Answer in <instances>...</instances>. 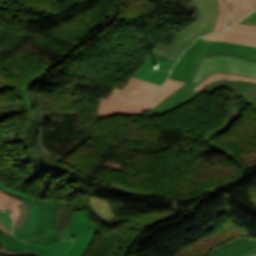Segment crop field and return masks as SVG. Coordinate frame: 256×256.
I'll return each instance as SVG.
<instances>
[{"instance_id": "obj_17", "label": "crop field", "mask_w": 256, "mask_h": 256, "mask_svg": "<svg viewBox=\"0 0 256 256\" xmlns=\"http://www.w3.org/2000/svg\"><path fill=\"white\" fill-rule=\"evenodd\" d=\"M21 202L23 201L12 196H9L7 194H4L3 192L0 191V208L4 210L6 207H8L13 211L12 213H10V215L13 217L14 223L16 222L17 217L19 215V209L16 205Z\"/></svg>"}, {"instance_id": "obj_23", "label": "crop field", "mask_w": 256, "mask_h": 256, "mask_svg": "<svg viewBox=\"0 0 256 256\" xmlns=\"http://www.w3.org/2000/svg\"><path fill=\"white\" fill-rule=\"evenodd\" d=\"M0 190H2L3 192H5V193H7L9 195L17 197V198H19V199H21L23 201H25L27 199L32 201L34 203L35 209H36V215H35V221H34V224L36 225V220H37V216H38V204H37V202L34 199H32L31 197H28L26 195H23L21 193H16V192L9 191V190H7L6 186H4V185L0 186Z\"/></svg>"}, {"instance_id": "obj_31", "label": "crop field", "mask_w": 256, "mask_h": 256, "mask_svg": "<svg viewBox=\"0 0 256 256\" xmlns=\"http://www.w3.org/2000/svg\"><path fill=\"white\" fill-rule=\"evenodd\" d=\"M246 20H256V11L245 18Z\"/></svg>"}, {"instance_id": "obj_10", "label": "crop field", "mask_w": 256, "mask_h": 256, "mask_svg": "<svg viewBox=\"0 0 256 256\" xmlns=\"http://www.w3.org/2000/svg\"><path fill=\"white\" fill-rule=\"evenodd\" d=\"M84 213V212H83ZM82 212L70 214L69 231L73 239L87 233H98L100 229L93 225Z\"/></svg>"}, {"instance_id": "obj_7", "label": "crop field", "mask_w": 256, "mask_h": 256, "mask_svg": "<svg viewBox=\"0 0 256 256\" xmlns=\"http://www.w3.org/2000/svg\"><path fill=\"white\" fill-rule=\"evenodd\" d=\"M206 40L237 42L256 46V26L235 25L230 29L201 37Z\"/></svg>"}, {"instance_id": "obj_35", "label": "crop field", "mask_w": 256, "mask_h": 256, "mask_svg": "<svg viewBox=\"0 0 256 256\" xmlns=\"http://www.w3.org/2000/svg\"><path fill=\"white\" fill-rule=\"evenodd\" d=\"M0 228H2L3 230H5L6 232H8V233H10L8 230H6L4 227H2L1 225H0ZM11 235H13L12 233H10Z\"/></svg>"}, {"instance_id": "obj_8", "label": "crop field", "mask_w": 256, "mask_h": 256, "mask_svg": "<svg viewBox=\"0 0 256 256\" xmlns=\"http://www.w3.org/2000/svg\"><path fill=\"white\" fill-rule=\"evenodd\" d=\"M255 247V242H250L248 234H246L215 248L209 253V256H243L247 251Z\"/></svg>"}, {"instance_id": "obj_16", "label": "crop field", "mask_w": 256, "mask_h": 256, "mask_svg": "<svg viewBox=\"0 0 256 256\" xmlns=\"http://www.w3.org/2000/svg\"><path fill=\"white\" fill-rule=\"evenodd\" d=\"M234 85H235V83H233V82H228V81H225V80H219V81L211 83L208 86V88L206 89L205 93H208V94L212 95V91H214L216 86H220V87H223L225 89H229V90L232 91ZM232 92H236V91H232ZM238 93H240V92H238ZM240 94H242V96H245L247 98V101H245V102L250 104V106H252V108H254V110L256 112V97H253V96H250V95H247V94H244V93H240ZM248 104H246V105H248Z\"/></svg>"}, {"instance_id": "obj_1", "label": "crop field", "mask_w": 256, "mask_h": 256, "mask_svg": "<svg viewBox=\"0 0 256 256\" xmlns=\"http://www.w3.org/2000/svg\"><path fill=\"white\" fill-rule=\"evenodd\" d=\"M199 10L198 17L189 27L175 36V40L167 45H159L150 52L153 55L177 61L181 53L198 37L211 32L218 16V0H190Z\"/></svg>"}, {"instance_id": "obj_39", "label": "crop field", "mask_w": 256, "mask_h": 256, "mask_svg": "<svg viewBox=\"0 0 256 256\" xmlns=\"http://www.w3.org/2000/svg\"><path fill=\"white\" fill-rule=\"evenodd\" d=\"M256 256V255H255Z\"/></svg>"}, {"instance_id": "obj_9", "label": "crop field", "mask_w": 256, "mask_h": 256, "mask_svg": "<svg viewBox=\"0 0 256 256\" xmlns=\"http://www.w3.org/2000/svg\"><path fill=\"white\" fill-rule=\"evenodd\" d=\"M93 214L106 226L112 228L124 219L113 216L108 203L101 199L87 198Z\"/></svg>"}, {"instance_id": "obj_32", "label": "crop field", "mask_w": 256, "mask_h": 256, "mask_svg": "<svg viewBox=\"0 0 256 256\" xmlns=\"http://www.w3.org/2000/svg\"><path fill=\"white\" fill-rule=\"evenodd\" d=\"M58 212H59V217H58V221H57V226L56 227H60V217H61V212L58 210ZM60 236H61V240H63V236H62V234H60Z\"/></svg>"}, {"instance_id": "obj_5", "label": "crop field", "mask_w": 256, "mask_h": 256, "mask_svg": "<svg viewBox=\"0 0 256 256\" xmlns=\"http://www.w3.org/2000/svg\"><path fill=\"white\" fill-rule=\"evenodd\" d=\"M98 101L97 117L99 119L114 115H137L147 106L112 94L106 98L101 97Z\"/></svg>"}, {"instance_id": "obj_29", "label": "crop field", "mask_w": 256, "mask_h": 256, "mask_svg": "<svg viewBox=\"0 0 256 256\" xmlns=\"http://www.w3.org/2000/svg\"><path fill=\"white\" fill-rule=\"evenodd\" d=\"M35 228H36V226L33 225L32 229L30 231H28V232H26L24 234H21V235H17V237L20 238V237L27 236V235L31 234L32 232H34Z\"/></svg>"}, {"instance_id": "obj_22", "label": "crop field", "mask_w": 256, "mask_h": 256, "mask_svg": "<svg viewBox=\"0 0 256 256\" xmlns=\"http://www.w3.org/2000/svg\"><path fill=\"white\" fill-rule=\"evenodd\" d=\"M18 208L20 209V215L17 222L14 224V230L21 228L25 224L28 215V207L25 202L19 204Z\"/></svg>"}, {"instance_id": "obj_3", "label": "crop field", "mask_w": 256, "mask_h": 256, "mask_svg": "<svg viewBox=\"0 0 256 256\" xmlns=\"http://www.w3.org/2000/svg\"><path fill=\"white\" fill-rule=\"evenodd\" d=\"M218 72L256 78V62L228 54L203 56L200 58L190 82L198 84L206 77Z\"/></svg>"}, {"instance_id": "obj_34", "label": "crop field", "mask_w": 256, "mask_h": 256, "mask_svg": "<svg viewBox=\"0 0 256 256\" xmlns=\"http://www.w3.org/2000/svg\"><path fill=\"white\" fill-rule=\"evenodd\" d=\"M255 253H256V249H254V250H252V251L246 253L244 256H250V255H253V254H255Z\"/></svg>"}, {"instance_id": "obj_33", "label": "crop field", "mask_w": 256, "mask_h": 256, "mask_svg": "<svg viewBox=\"0 0 256 256\" xmlns=\"http://www.w3.org/2000/svg\"><path fill=\"white\" fill-rule=\"evenodd\" d=\"M0 232L3 233L5 236L11 238V239H16L15 237H13V236L7 234L6 232H4L2 229H0Z\"/></svg>"}, {"instance_id": "obj_37", "label": "crop field", "mask_w": 256, "mask_h": 256, "mask_svg": "<svg viewBox=\"0 0 256 256\" xmlns=\"http://www.w3.org/2000/svg\"><path fill=\"white\" fill-rule=\"evenodd\" d=\"M251 241L254 240L256 242V239H250Z\"/></svg>"}, {"instance_id": "obj_36", "label": "crop field", "mask_w": 256, "mask_h": 256, "mask_svg": "<svg viewBox=\"0 0 256 256\" xmlns=\"http://www.w3.org/2000/svg\"><path fill=\"white\" fill-rule=\"evenodd\" d=\"M11 228H12V225L11 226H9L8 228H6V229H8L9 231H11ZM12 232V231H11Z\"/></svg>"}, {"instance_id": "obj_12", "label": "crop field", "mask_w": 256, "mask_h": 256, "mask_svg": "<svg viewBox=\"0 0 256 256\" xmlns=\"http://www.w3.org/2000/svg\"><path fill=\"white\" fill-rule=\"evenodd\" d=\"M256 9V0H232L230 27Z\"/></svg>"}, {"instance_id": "obj_28", "label": "crop field", "mask_w": 256, "mask_h": 256, "mask_svg": "<svg viewBox=\"0 0 256 256\" xmlns=\"http://www.w3.org/2000/svg\"><path fill=\"white\" fill-rule=\"evenodd\" d=\"M62 231H63L64 240H71V236L68 232V229H62Z\"/></svg>"}, {"instance_id": "obj_13", "label": "crop field", "mask_w": 256, "mask_h": 256, "mask_svg": "<svg viewBox=\"0 0 256 256\" xmlns=\"http://www.w3.org/2000/svg\"><path fill=\"white\" fill-rule=\"evenodd\" d=\"M39 203V216L37 220V229L27 237L21 238L22 241L28 243L41 237L47 230L48 205L47 202L40 199H35Z\"/></svg>"}, {"instance_id": "obj_19", "label": "crop field", "mask_w": 256, "mask_h": 256, "mask_svg": "<svg viewBox=\"0 0 256 256\" xmlns=\"http://www.w3.org/2000/svg\"><path fill=\"white\" fill-rule=\"evenodd\" d=\"M219 5H220V11H219L218 20L212 32L226 28L228 3H224V0H219Z\"/></svg>"}, {"instance_id": "obj_20", "label": "crop field", "mask_w": 256, "mask_h": 256, "mask_svg": "<svg viewBox=\"0 0 256 256\" xmlns=\"http://www.w3.org/2000/svg\"><path fill=\"white\" fill-rule=\"evenodd\" d=\"M25 202L29 207L28 220H27L26 224L21 229L16 230V231L13 232L14 235L24 233V232L30 230L31 227H32L33 220H34L35 209H34V206H33L32 202H30L29 200H27Z\"/></svg>"}, {"instance_id": "obj_15", "label": "crop field", "mask_w": 256, "mask_h": 256, "mask_svg": "<svg viewBox=\"0 0 256 256\" xmlns=\"http://www.w3.org/2000/svg\"><path fill=\"white\" fill-rule=\"evenodd\" d=\"M183 82L175 81L168 79L164 86L159 90L156 98L153 100V102L145 109L148 110L149 108L154 107L156 104H158L162 99H164L166 96L171 94L173 91L181 87Z\"/></svg>"}, {"instance_id": "obj_4", "label": "crop field", "mask_w": 256, "mask_h": 256, "mask_svg": "<svg viewBox=\"0 0 256 256\" xmlns=\"http://www.w3.org/2000/svg\"><path fill=\"white\" fill-rule=\"evenodd\" d=\"M218 79H225V80L233 81V82L240 80V81H245V82H255L256 83V79H253V78L241 77V76L225 74V73H218L213 76H210V77L206 78L203 82H201L199 85L185 83V84H183V86L181 88H179L178 90L173 92L171 95L166 97L154 108L150 109V113L147 115V117L164 114V113L196 98L200 94L201 90L204 87L209 85L212 81H215Z\"/></svg>"}, {"instance_id": "obj_2", "label": "crop field", "mask_w": 256, "mask_h": 256, "mask_svg": "<svg viewBox=\"0 0 256 256\" xmlns=\"http://www.w3.org/2000/svg\"><path fill=\"white\" fill-rule=\"evenodd\" d=\"M213 53H228L256 61V47L228 42L206 41L199 38L175 64L170 78L188 82L199 57Z\"/></svg>"}, {"instance_id": "obj_11", "label": "crop field", "mask_w": 256, "mask_h": 256, "mask_svg": "<svg viewBox=\"0 0 256 256\" xmlns=\"http://www.w3.org/2000/svg\"><path fill=\"white\" fill-rule=\"evenodd\" d=\"M110 93L134 101L149 104L157 92L128 83V85L123 90L114 87Z\"/></svg>"}, {"instance_id": "obj_21", "label": "crop field", "mask_w": 256, "mask_h": 256, "mask_svg": "<svg viewBox=\"0 0 256 256\" xmlns=\"http://www.w3.org/2000/svg\"><path fill=\"white\" fill-rule=\"evenodd\" d=\"M233 90L256 96V84L238 81Z\"/></svg>"}, {"instance_id": "obj_25", "label": "crop field", "mask_w": 256, "mask_h": 256, "mask_svg": "<svg viewBox=\"0 0 256 256\" xmlns=\"http://www.w3.org/2000/svg\"><path fill=\"white\" fill-rule=\"evenodd\" d=\"M0 224L5 228L12 224L11 217L2 211H0Z\"/></svg>"}, {"instance_id": "obj_38", "label": "crop field", "mask_w": 256, "mask_h": 256, "mask_svg": "<svg viewBox=\"0 0 256 256\" xmlns=\"http://www.w3.org/2000/svg\"><path fill=\"white\" fill-rule=\"evenodd\" d=\"M0 185H1V183H0Z\"/></svg>"}, {"instance_id": "obj_18", "label": "crop field", "mask_w": 256, "mask_h": 256, "mask_svg": "<svg viewBox=\"0 0 256 256\" xmlns=\"http://www.w3.org/2000/svg\"><path fill=\"white\" fill-rule=\"evenodd\" d=\"M223 109V108H222ZM230 110L227 109H223V111L226 113L227 117L225 118V120L216 128L208 130L206 132V134L203 137V141L204 142H208L209 141V134L210 133H219L221 130L226 129V125L229 124V122L232 119H235L236 116H238L239 112H241V110H238L237 107H231L229 108Z\"/></svg>"}, {"instance_id": "obj_30", "label": "crop field", "mask_w": 256, "mask_h": 256, "mask_svg": "<svg viewBox=\"0 0 256 256\" xmlns=\"http://www.w3.org/2000/svg\"><path fill=\"white\" fill-rule=\"evenodd\" d=\"M239 23L240 24H246V25H256V21L241 20Z\"/></svg>"}, {"instance_id": "obj_14", "label": "crop field", "mask_w": 256, "mask_h": 256, "mask_svg": "<svg viewBox=\"0 0 256 256\" xmlns=\"http://www.w3.org/2000/svg\"><path fill=\"white\" fill-rule=\"evenodd\" d=\"M95 234L84 236L73 241V245L65 256H84L87 249L94 240Z\"/></svg>"}, {"instance_id": "obj_6", "label": "crop field", "mask_w": 256, "mask_h": 256, "mask_svg": "<svg viewBox=\"0 0 256 256\" xmlns=\"http://www.w3.org/2000/svg\"><path fill=\"white\" fill-rule=\"evenodd\" d=\"M174 63V61L149 55L142 67L133 75V77L162 85L170 72L158 69L154 70L153 65L171 71Z\"/></svg>"}, {"instance_id": "obj_27", "label": "crop field", "mask_w": 256, "mask_h": 256, "mask_svg": "<svg viewBox=\"0 0 256 256\" xmlns=\"http://www.w3.org/2000/svg\"><path fill=\"white\" fill-rule=\"evenodd\" d=\"M24 93H25V96H26V99H27V103H28V107H29L30 120H36L34 111L32 109L34 106H33L32 102L30 100L29 93H28V91H24Z\"/></svg>"}, {"instance_id": "obj_26", "label": "crop field", "mask_w": 256, "mask_h": 256, "mask_svg": "<svg viewBox=\"0 0 256 256\" xmlns=\"http://www.w3.org/2000/svg\"><path fill=\"white\" fill-rule=\"evenodd\" d=\"M70 245H71V241H64L61 248L57 252H55L54 254H52L50 256H63L66 253V251Z\"/></svg>"}, {"instance_id": "obj_24", "label": "crop field", "mask_w": 256, "mask_h": 256, "mask_svg": "<svg viewBox=\"0 0 256 256\" xmlns=\"http://www.w3.org/2000/svg\"><path fill=\"white\" fill-rule=\"evenodd\" d=\"M127 82H131L133 84H136V85H139V86L151 89V90H155V91H158V89L160 87V85L149 83V82L139 80V79H136V78H133V77H131L129 80H127Z\"/></svg>"}]
</instances>
